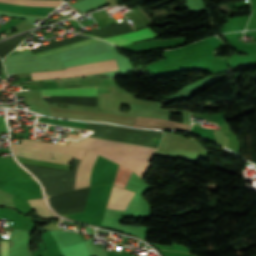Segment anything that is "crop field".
Returning <instances> with one entry per match:
<instances>
[{
    "instance_id": "crop-field-1",
    "label": "crop field",
    "mask_w": 256,
    "mask_h": 256,
    "mask_svg": "<svg viewBox=\"0 0 256 256\" xmlns=\"http://www.w3.org/2000/svg\"><path fill=\"white\" fill-rule=\"evenodd\" d=\"M90 37L86 36H81V35H76L73 37H69L57 42H53L41 47H37L34 49H31V53H38L42 52L45 50L53 49L56 47H60L63 45L71 44L74 42L82 41L85 39H89ZM99 41L97 38L85 40L82 42L74 43L71 45H67L64 47L56 48L53 50L45 51L42 53L34 54V58L43 56L49 53H53L59 50L91 43ZM112 51L109 44L99 41L63 51H59V55L62 60L64 59H70V58H76V57H81V56H87V55H93V54H98V53H104V52H110ZM113 53H104V54H98V55H93V56H87V57H81V58H76V59H70V60H64L62 61L64 67L67 66H73V65H78V64H84V63H89V62H95V61H101V60H106V59H112ZM116 63L114 59L112 60H106V61H101V62H95V63H90V64H84V65H78V66H73V67H67L65 68L66 70H58V71H69V70H75V69H81V68H87V67H94V66H100V65H107V64H113ZM117 65H107V66H100V67H94V68H87V69H81V70H75V71H69V72H52V71H47V72H52V73H46V72H40V73H46V74H32V79H42V78H58V77H69V76H80V75H88V74H95V73H101V72H108L112 70H116Z\"/></svg>"
},
{
    "instance_id": "crop-field-2",
    "label": "crop field",
    "mask_w": 256,
    "mask_h": 256,
    "mask_svg": "<svg viewBox=\"0 0 256 256\" xmlns=\"http://www.w3.org/2000/svg\"><path fill=\"white\" fill-rule=\"evenodd\" d=\"M68 145L86 148L88 150H91L99 154H105V155H111V156H117V157H123V158H129V159H135V160H141V161H147V162L150 161L154 153V150H156L155 148H149V147H143V146H137V145H131V144L89 138V137H86L78 142L70 141ZM105 155H102V156L132 170L141 178L148 166L147 162H141V161H135V160L105 156Z\"/></svg>"
},
{
    "instance_id": "crop-field-3",
    "label": "crop field",
    "mask_w": 256,
    "mask_h": 256,
    "mask_svg": "<svg viewBox=\"0 0 256 256\" xmlns=\"http://www.w3.org/2000/svg\"><path fill=\"white\" fill-rule=\"evenodd\" d=\"M17 156L40 159L61 164H70L72 158L80 159L85 149L45 142L21 139V144L12 145ZM54 157V159H52Z\"/></svg>"
},
{
    "instance_id": "crop-field-4",
    "label": "crop field",
    "mask_w": 256,
    "mask_h": 256,
    "mask_svg": "<svg viewBox=\"0 0 256 256\" xmlns=\"http://www.w3.org/2000/svg\"><path fill=\"white\" fill-rule=\"evenodd\" d=\"M4 3L19 4L25 6H45V7H58L62 4V1H49V0H0ZM0 3V11H10L20 14H30V15H47L55 8H45V7H25L12 4Z\"/></svg>"
},
{
    "instance_id": "crop-field-5",
    "label": "crop field",
    "mask_w": 256,
    "mask_h": 256,
    "mask_svg": "<svg viewBox=\"0 0 256 256\" xmlns=\"http://www.w3.org/2000/svg\"><path fill=\"white\" fill-rule=\"evenodd\" d=\"M97 154L86 150L76 172L74 189L88 187L90 182V171L97 158Z\"/></svg>"
},
{
    "instance_id": "crop-field-6",
    "label": "crop field",
    "mask_w": 256,
    "mask_h": 256,
    "mask_svg": "<svg viewBox=\"0 0 256 256\" xmlns=\"http://www.w3.org/2000/svg\"><path fill=\"white\" fill-rule=\"evenodd\" d=\"M132 126L149 127V128H168V129H185L189 130L190 125L183 123H177L173 121L146 118V117H135Z\"/></svg>"
},
{
    "instance_id": "crop-field-7",
    "label": "crop field",
    "mask_w": 256,
    "mask_h": 256,
    "mask_svg": "<svg viewBox=\"0 0 256 256\" xmlns=\"http://www.w3.org/2000/svg\"><path fill=\"white\" fill-rule=\"evenodd\" d=\"M154 37H157V35L151 29L146 28L116 37L108 38L105 40L112 42L114 45L120 46Z\"/></svg>"
},
{
    "instance_id": "crop-field-8",
    "label": "crop field",
    "mask_w": 256,
    "mask_h": 256,
    "mask_svg": "<svg viewBox=\"0 0 256 256\" xmlns=\"http://www.w3.org/2000/svg\"><path fill=\"white\" fill-rule=\"evenodd\" d=\"M133 195L134 192L113 186L106 208L125 210Z\"/></svg>"
},
{
    "instance_id": "crop-field-9",
    "label": "crop field",
    "mask_w": 256,
    "mask_h": 256,
    "mask_svg": "<svg viewBox=\"0 0 256 256\" xmlns=\"http://www.w3.org/2000/svg\"><path fill=\"white\" fill-rule=\"evenodd\" d=\"M41 95L96 96V87L41 90Z\"/></svg>"
},
{
    "instance_id": "crop-field-10",
    "label": "crop field",
    "mask_w": 256,
    "mask_h": 256,
    "mask_svg": "<svg viewBox=\"0 0 256 256\" xmlns=\"http://www.w3.org/2000/svg\"><path fill=\"white\" fill-rule=\"evenodd\" d=\"M59 249L63 256H91L84 242Z\"/></svg>"
},
{
    "instance_id": "crop-field-11",
    "label": "crop field",
    "mask_w": 256,
    "mask_h": 256,
    "mask_svg": "<svg viewBox=\"0 0 256 256\" xmlns=\"http://www.w3.org/2000/svg\"><path fill=\"white\" fill-rule=\"evenodd\" d=\"M31 207L43 218H54L56 215L52 214L50 210L45 206L43 199H31L28 200Z\"/></svg>"
},
{
    "instance_id": "crop-field-12",
    "label": "crop field",
    "mask_w": 256,
    "mask_h": 256,
    "mask_svg": "<svg viewBox=\"0 0 256 256\" xmlns=\"http://www.w3.org/2000/svg\"><path fill=\"white\" fill-rule=\"evenodd\" d=\"M130 174L131 171L119 166L113 185L124 188Z\"/></svg>"
},
{
    "instance_id": "crop-field-13",
    "label": "crop field",
    "mask_w": 256,
    "mask_h": 256,
    "mask_svg": "<svg viewBox=\"0 0 256 256\" xmlns=\"http://www.w3.org/2000/svg\"><path fill=\"white\" fill-rule=\"evenodd\" d=\"M1 256H8V242L0 241Z\"/></svg>"
},
{
    "instance_id": "crop-field-14",
    "label": "crop field",
    "mask_w": 256,
    "mask_h": 256,
    "mask_svg": "<svg viewBox=\"0 0 256 256\" xmlns=\"http://www.w3.org/2000/svg\"><path fill=\"white\" fill-rule=\"evenodd\" d=\"M80 137H81L80 135H72V134H69L67 138L77 140V139H79Z\"/></svg>"
}]
</instances>
